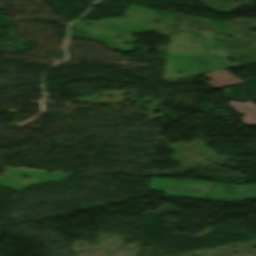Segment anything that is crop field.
Masks as SVG:
<instances>
[{
    "instance_id": "obj_1",
    "label": "crop field",
    "mask_w": 256,
    "mask_h": 256,
    "mask_svg": "<svg viewBox=\"0 0 256 256\" xmlns=\"http://www.w3.org/2000/svg\"><path fill=\"white\" fill-rule=\"evenodd\" d=\"M256 197V186L227 185L214 182L206 198L225 202Z\"/></svg>"
},
{
    "instance_id": "obj_2",
    "label": "crop field",
    "mask_w": 256,
    "mask_h": 256,
    "mask_svg": "<svg viewBox=\"0 0 256 256\" xmlns=\"http://www.w3.org/2000/svg\"><path fill=\"white\" fill-rule=\"evenodd\" d=\"M153 180H162V181H177V182H190V183H202V184H209L208 186L203 185H193V184H177V183H166V182H154ZM153 183H162V184H168V185H179V186H194V187H204L208 188L210 187L211 183L208 182H200V181H184V180H174V179H164V178H152L151 181V188L165 191L167 195H173V196H183V197H194V198H204V196L201 195H194V194H186V193H172L174 192H189V193H199V194H205L204 192L200 191H190V190H177V189H191V190H201V191H208V189L204 188H193V187H176V186H163V185H157ZM154 186L158 187H167V188H177V189H167V188H154ZM207 193V192H206Z\"/></svg>"
},
{
    "instance_id": "obj_3",
    "label": "crop field",
    "mask_w": 256,
    "mask_h": 256,
    "mask_svg": "<svg viewBox=\"0 0 256 256\" xmlns=\"http://www.w3.org/2000/svg\"><path fill=\"white\" fill-rule=\"evenodd\" d=\"M205 76L208 79H213L212 81L208 82L213 89H220V87H222L223 85L230 86V85H235L243 82L236 79L227 71L210 73V74H206ZM219 76L224 77V79H219L218 78Z\"/></svg>"
},
{
    "instance_id": "obj_4",
    "label": "crop field",
    "mask_w": 256,
    "mask_h": 256,
    "mask_svg": "<svg viewBox=\"0 0 256 256\" xmlns=\"http://www.w3.org/2000/svg\"><path fill=\"white\" fill-rule=\"evenodd\" d=\"M231 107L238 111L239 114H245L246 116L244 117L243 121L247 125L255 126L256 125V105L251 103V102H246V103H241L240 104H235V101H232ZM247 118V119H245Z\"/></svg>"
}]
</instances>
